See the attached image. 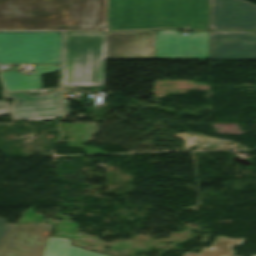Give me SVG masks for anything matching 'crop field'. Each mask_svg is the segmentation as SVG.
Returning a JSON list of instances; mask_svg holds the SVG:
<instances>
[{"label":"crop field","mask_w":256,"mask_h":256,"mask_svg":"<svg viewBox=\"0 0 256 256\" xmlns=\"http://www.w3.org/2000/svg\"><path fill=\"white\" fill-rule=\"evenodd\" d=\"M61 85H104V33H66Z\"/></svg>","instance_id":"crop-field-2"},{"label":"crop field","mask_w":256,"mask_h":256,"mask_svg":"<svg viewBox=\"0 0 256 256\" xmlns=\"http://www.w3.org/2000/svg\"><path fill=\"white\" fill-rule=\"evenodd\" d=\"M153 7L154 28L209 29L208 0H153Z\"/></svg>","instance_id":"crop-field-4"},{"label":"crop field","mask_w":256,"mask_h":256,"mask_svg":"<svg viewBox=\"0 0 256 256\" xmlns=\"http://www.w3.org/2000/svg\"><path fill=\"white\" fill-rule=\"evenodd\" d=\"M252 256H256V255H252Z\"/></svg>","instance_id":"crop-field-19"},{"label":"crop field","mask_w":256,"mask_h":256,"mask_svg":"<svg viewBox=\"0 0 256 256\" xmlns=\"http://www.w3.org/2000/svg\"><path fill=\"white\" fill-rule=\"evenodd\" d=\"M68 113V103H64V114Z\"/></svg>","instance_id":"crop-field-17"},{"label":"crop field","mask_w":256,"mask_h":256,"mask_svg":"<svg viewBox=\"0 0 256 256\" xmlns=\"http://www.w3.org/2000/svg\"><path fill=\"white\" fill-rule=\"evenodd\" d=\"M6 222L7 220L0 219V243L14 227V225H8Z\"/></svg>","instance_id":"crop-field-15"},{"label":"crop field","mask_w":256,"mask_h":256,"mask_svg":"<svg viewBox=\"0 0 256 256\" xmlns=\"http://www.w3.org/2000/svg\"><path fill=\"white\" fill-rule=\"evenodd\" d=\"M106 59H154V31L105 33Z\"/></svg>","instance_id":"crop-field-9"},{"label":"crop field","mask_w":256,"mask_h":256,"mask_svg":"<svg viewBox=\"0 0 256 256\" xmlns=\"http://www.w3.org/2000/svg\"><path fill=\"white\" fill-rule=\"evenodd\" d=\"M210 59H256V32H209Z\"/></svg>","instance_id":"crop-field-11"},{"label":"crop field","mask_w":256,"mask_h":256,"mask_svg":"<svg viewBox=\"0 0 256 256\" xmlns=\"http://www.w3.org/2000/svg\"><path fill=\"white\" fill-rule=\"evenodd\" d=\"M43 256H106L70 246L69 239L49 237Z\"/></svg>","instance_id":"crop-field-13"},{"label":"crop field","mask_w":256,"mask_h":256,"mask_svg":"<svg viewBox=\"0 0 256 256\" xmlns=\"http://www.w3.org/2000/svg\"><path fill=\"white\" fill-rule=\"evenodd\" d=\"M210 29L256 30V5L242 0H209Z\"/></svg>","instance_id":"crop-field-10"},{"label":"crop field","mask_w":256,"mask_h":256,"mask_svg":"<svg viewBox=\"0 0 256 256\" xmlns=\"http://www.w3.org/2000/svg\"><path fill=\"white\" fill-rule=\"evenodd\" d=\"M61 33H0V64H59Z\"/></svg>","instance_id":"crop-field-3"},{"label":"crop field","mask_w":256,"mask_h":256,"mask_svg":"<svg viewBox=\"0 0 256 256\" xmlns=\"http://www.w3.org/2000/svg\"><path fill=\"white\" fill-rule=\"evenodd\" d=\"M244 239H228L218 237L210 249L204 248L197 256H232L231 246L241 245Z\"/></svg>","instance_id":"crop-field-14"},{"label":"crop field","mask_w":256,"mask_h":256,"mask_svg":"<svg viewBox=\"0 0 256 256\" xmlns=\"http://www.w3.org/2000/svg\"><path fill=\"white\" fill-rule=\"evenodd\" d=\"M51 225L16 224L0 244V256H42Z\"/></svg>","instance_id":"crop-field-8"},{"label":"crop field","mask_w":256,"mask_h":256,"mask_svg":"<svg viewBox=\"0 0 256 256\" xmlns=\"http://www.w3.org/2000/svg\"><path fill=\"white\" fill-rule=\"evenodd\" d=\"M9 114V111L6 107V105H4V100L0 101V115H6Z\"/></svg>","instance_id":"crop-field-16"},{"label":"crop field","mask_w":256,"mask_h":256,"mask_svg":"<svg viewBox=\"0 0 256 256\" xmlns=\"http://www.w3.org/2000/svg\"><path fill=\"white\" fill-rule=\"evenodd\" d=\"M106 0H0V30H100Z\"/></svg>","instance_id":"crop-field-1"},{"label":"crop field","mask_w":256,"mask_h":256,"mask_svg":"<svg viewBox=\"0 0 256 256\" xmlns=\"http://www.w3.org/2000/svg\"><path fill=\"white\" fill-rule=\"evenodd\" d=\"M107 28H153L152 0H107Z\"/></svg>","instance_id":"crop-field-7"},{"label":"crop field","mask_w":256,"mask_h":256,"mask_svg":"<svg viewBox=\"0 0 256 256\" xmlns=\"http://www.w3.org/2000/svg\"><path fill=\"white\" fill-rule=\"evenodd\" d=\"M53 89H36L5 92L7 98H14L15 103L10 106L14 120L27 119L29 121L55 119L61 116V91L59 89L46 96H29L27 91L49 92ZM54 96H57L55 99ZM45 97V99H43ZM47 101L44 103V101Z\"/></svg>","instance_id":"crop-field-6"},{"label":"crop field","mask_w":256,"mask_h":256,"mask_svg":"<svg viewBox=\"0 0 256 256\" xmlns=\"http://www.w3.org/2000/svg\"><path fill=\"white\" fill-rule=\"evenodd\" d=\"M32 76L19 75L17 71L1 74L2 81L7 91L42 88L40 75L51 73L59 69V66L34 65Z\"/></svg>","instance_id":"crop-field-12"},{"label":"crop field","mask_w":256,"mask_h":256,"mask_svg":"<svg viewBox=\"0 0 256 256\" xmlns=\"http://www.w3.org/2000/svg\"><path fill=\"white\" fill-rule=\"evenodd\" d=\"M197 254L195 253H189V252H185L183 256H196Z\"/></svg>","instance_id":"crop-field-18"},{"label":"crop field","mask_w":256,"mask_h":256,"mask_svg":"<svg viewBox=\"0 0 256 256\" xmlns=\"http://www.w3.org/2000/svg\"><path fill=\"white\" fill-rule=\"evenodd\" d=\"M155 59H209L208 32L155 31Z\"/></svg>","instance_id":"crop-field-5"}]
</instances>
